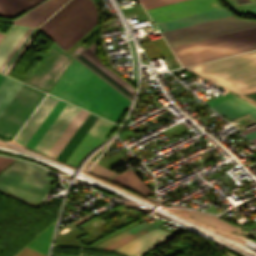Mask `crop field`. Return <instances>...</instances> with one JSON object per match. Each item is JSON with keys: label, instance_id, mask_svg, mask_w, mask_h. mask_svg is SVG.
Masks as SVG:
<instances>
[{"label": "crop field", "instance_id": "1", "mask_svg": "<svg viewBox=\"0 0 256 256\" xmlns=\"http://www.w3.org/2000/svg\"><path fill=\"white\" fill-rule=\"evenodd\" d=\"M170 47L250 27L256 22L235 19L224 8L157 23ZM256 48V27L190 43L172 50L182 63L190 65Z\"/></svg>", "mask_w": 256, "mask_h": 256}, {"label": "crop field", "instance_id": "2", "mask_svg": "<svg viewBox=\"0 0 256 256\" xmlns=\"http://www.w3.org/2000/svg\"><path fill=\"white\" fill-rule=\"evenodd\" d=\"M188 69L239 94L256 90V51L188 67Z\"/></svg>", "mask_w": 256, "mask_h": 256}, {"label": "crop field", "instance_id": "3", "mask_svg": "<svg viewBox=\"0 0 256 256\" xmlns=\"http://www.w3.org/2000/svg\"><path fill=\"white\" fill-rule=\"evenodd\" d=\"M97 10L91 0H79L45 31L65 51L96 25Z\"/></svg>", "mask_w": 256, "mask_h": 256}, {"label": "crop field", "instance_id": "4", "mask_svg": "<svg viewBox=\"0 0 256 256\" xmlns=\"http://www.w3.org/2000/svg\"><path fill=\"white\" fill-rule=\"evenodd\" d=\"M44 95L22 85L0 116V136L12 139Z\"/></svg>", "mask_w": 256, "mask_h": 256}, {"label": "crop field", "instance_id": "5", "mask_svg": "<svg viewBox=\"0 0 256 256\" xmlns=\"http://www.w3.org/2000/svg\"><path fill=\"white\" fill-rule=\"evenodd\" d=\"M57 47L52 44V46L25 80V83L44 92L49 90V88L72 59V57Z\"/></svg>", "mask_w": 256, "mask_h": 256}, {"label": "crop field", "instance_id": "6", "mask_svg": "<svg viewBox=\"0 0 256 256\" xmlns=\"http://www.w3.org/2000/svg\"><path fill=\"white\" fill-rule=\"evenodd\" d=\"M92 74L74 59L50 94L72 103Z\"/></svg>", "mask_w": 256, "mask_h": 256}, {"label": "crop field", "instance_id": "7", "mask_svg": "<svg viewBox=\"0 0 256 256\" xmlns=\"http://www.w3.org/2000/svg\"><path fill=\"white\" fill-rule=\"evenodd\" d=\"M220 7V4L216 0H185L148 9L147 12L154 23H157Z\"/></svg>", "mask_w": 256, "mask_h": 256}, {"label": "crop field", "instance_id": "8", "mask_svg": "<svg viewBox=\"0 0 256 256\" xmlns=\"http://www.w3.org/2000/svg\"><path fill=\"white\" fill-rule=\"evenodd\" d=\"M130 103V101L106 84L88 110L117 122Z\"/></svg>", "mask_w": 256, "mask_h": 256}, {"label": "crop field", "instance_id": "9", "mask_svg": "<svg viewBox=\"0 0 256 256\" xmlns=\"http://www.w3.org/2000/svg\"><path fill=\"white\" fill-rule=\"evenodd\" d=\"M207 103L228 119H235L247 112L256 117V106L228 92L224 96L221 95ZM245 137L249 140L256 138V131L245 135Z\"/></svg>", "mask_w": 256, "mask_h": 256}, {"label": "crop field", "instance_id": "10", "mask_svg": "<svg viewBox=\"0 0 256 256\" xmlns=\"http://www.w3.org/2000/svg\"><path fill=\"white\" fill-rule=\"evenodd\" d=\"M50 173V172H49ZM48 172L31 163L17 160L2 174L48 189L54 180L47 178Z\"/></svg>", "mask_w": 256, "mask_h": 256}, {"label": "crop field", "instance_id": "11", "mask_svg": "<svg viewBox=\"0 0 256 256\" xmlns=\"http://www.w3.org/2000/svg\"><path fill=\"white\" fill-rule=\"evenodd\" d=\"M173 235L156 228L114 250L130 256H141Z\"/></svg>", "mask_w": 256, "mask_h": 256}, {"label": "crop field", "instance_id": "12", "mask_svg": "<svg viewBox=\"0 0 256 256\" xmlns=\"http://www.w3.org/2000/svg\"><path fill=\"white\" fill-rule=\"evenodd\" d=\"M79 108H76L67 103L37 145L34 147V150L46 155L58 137L61 135L63 130L78 112Z\"/></svg>", "mask_w": 256, "mask_h": 256}, {"label": "crop field", "instance_id": "13", "mask_svg": "<svg viewBox=\"0 0 256 256\" xmlns=\"http://www.w3.org/2000/svg\"><path fill=\"white\" fill-rule=\"evenodd\" d=\"M85 58H87L90 62H92L94 65H96L99 69H101L103 72H105L108 76H110L112 79H114L117 83H119L121 86H123L126 90H128L130 93H134L135 88L132 87L130 84L125 82L123 79H121L118 75H116L112 70L107 68L105 65H103L100 60L97 58L94 52H92L90 49H86L84 52L80 53ZM78 55L76 58L80 60L82 63H84L86 66H88L90 69H92L94 72H96L99 76H101L103 79H105L107 82H109L111 85H113L115 88H117L121 93H123L127 98L130 100L132 99L133 95L130 94L128 91H126L123 87H121L119 84H117L114 80H112L110 77H108L105 73H103L101 70H99L96 66H94L92 63H90L87 59H85L83 56Z\"/></svg>", "mask_w": 256, "mask_h": 256}, {"label": "crop field", "instance_id": "14", "mask_svg": "<svg viewBox=\"0 0 256 256\" xmlns=\"http://www.w3.org/2000/svg\"><path fill=\"white\" fill-rule=\"evenodd\" d=\"M111 125L112 123L98 117V119L95 121L93 126L87 132V134L82 139L80 144L77 146V148L74 150L72 155L69 157V160L78 162L82 157L88 154L93 148L96 147V145L105 135V133L108 131ZM69 160H67L65 163L71 164V165L76 164V162H72Z\"/></svg>", "mask_w": 256, "mask_h": 256}, {"label": "crop field", "instance_id": "15", "mask_svg": "<svg viewBox=\"0 0 256 256\" xmlns=\"http://www.w3.org/2000/svg\"><path fill=\"white\" fill-rule=\"evenodd\" d=\"M57 101L58 99L50 95H47V97L38 107L36 112L27 122L25 127L23 126L24 128L22 129V131L19 133V135L16 137L15 140L18 143L25 145L26 142L29 140V138L32 136V134L35 132V130L38 128V126L41 124V122L45 119V117L48 115V113L57 103Z\"/></svg>", "mask_w": 256, "mask_h": 256}, {"label": "crop field", "instance_id": "16", "mask_svg": "<svg viewBox=\"0 0 256 256\" xmlns=\"http://www.w3.org/2000/svg\"><path fill=\"white\" fill-rule=\"evenodd\" d=\"M66 1L67 0H47L13 22L40 25Z\"/></svg>", "mask_w": 256, "mask_h": 256}, {"label": "crop field", "instance_id": "17", "mask_svg": "<svg viewBox=\"0 0 256 256\" xmlns=\"http://www.w3.org/2000/svg\"><path fill=\"white\" fill-rule=\"evenodd\" d=\"M104 83L101 79L93 74L87 84L84 86L82 91L73 101V104L78 105L87 109L99 91L104 87Z\"/></svg>", "mask_w": 256, "mask_h": 256}, {"label": "crop field", "instance_id": "18", "mask_svg": "<svg viewBox=\"0 0 256 256\" xmlns=\"http://www.w3.org/2000/svg\"><path fill=\"white\" fill-rule=\"evenodd\" d=\"M43 0H0V16L16 17Z\"/></svg>", "mask_w": 256, "mask_h": 256}, {"label": "crop field", "instance_id": "19", "mask_svg": "<svg viewBox=\"0 0 256 256\" xmlns=\"http://www.w3.org/2000/svg\"><path fill=\"white\" fill-rule=\"evenodd\" d=\"M87 115L88 112L82 109L77 113V115L68 125V127L65 129L62 135L47 153V156L55 159V157L58 155V153L61 151V149L64 147V145L67 143V141L70 139V137L73 135V133L76 131V129L79 127V125L82 123Z\"/></svg>", "mask_w": 256, "mask_h": 256}, {"label": "crop field", "instance_id": "20", "mask_svg": "<svg viewBox=\"0 0 256 256\" xmlns=\"http://www.w3.org/2000/svg\"><path fill=\"white\" fill-rule=\"evenodd\" d=\"M28 30V27L15 26L0 42V66Z\"/></svg>", "mask_w": 256, "mask_h": 256}, {"label": "crop field", "instance_id": "21", "mask_svg": "<svg viewBox=\"0 0 256 256\" xmlns=\"http://www.w3.org/2000/svg\"><path fill=\"white\" fill-rule=\"evenodd\" d=\"M110 179L123 183L145 195L153 193L131 169H128Z\"/></svg>", "mask_w": 256, "mask_h": 256}, {"label": "crop field", "instance_id": "22", "mask_svg": "<svg viewBox=\"0 0 256 256\" xmlns=\"http://www.w3.org/2000/svg\"><path fill=\"white\" fill-rule=\"evenodd\" d=\"M37 32L38 30L36 29H33V28L29 29V31L26 33L23 39L19 42V44L10 54V56L6 59V61L0 67L1 72L7 74L10 68L13 66V64L16 62V60L19 58V56L22 54V52L25 50V48L28 46V44L31 42L34 36L37 34Z\"/></svg>", "mask_w": 256, "mask_h": 256}, {"label": "crop field", "instance_id": "23", "mask_svg": "<svg viewBox=\"0 0 256 256\" xmlns=\"http://www.w3.org/2000/svg\"><path fill=\"white\" fill-rule=\"evenodd\" d=\"M65 105L66 102H63L61 100L58 101V103L55 105V107L52 109V111L49 113V115L39 126V128L36 130V132L33 134V136L30 138L25 146L33 149V147L36 145V143L39 141V139L42 137V135L45 133V131L48 129V127L51 125V123L54 121V119L57 117V115L60 113Z\"/></svg>", "mask_w": 256, "mask_h": 256}, {"label": "crop field", "instance_id": "24", "mask_svg": "<svg viewBox=\"0 0 256 256\" xmlns=\"http://www.w3.org/2000/svg\"><path fill=\"white\" fill-rule=\"evenodd\" d=\"M0 192L12 196L28 205L35 207L43 197L23 191L21 189L0 183Z\"/></svg>", "mask_w": 256, "mask_h": 256}, {"label": "crop field", "instance_id": "25", "mask_svg": "<svg viewBox=\"0 0 256 256\" xmlns=\"http://www.w3.org/2000/svg\"><path fill=\"white\" fill-rule=\"evenodd\" d=\"M141 46L148 58V60L160 57L172 56L171 51L164 42L163 38L141 43Z\"/></svg>", "mask_w": 256, "mask_h": 256}, {"label": "crop field", "instance_id": "26", "mask_svg": "<svg viewBox=\"0 0 256 256\" xmlns=\"http://www.w3.org/2000/svg\"><path fill=\"white\" fill-rule=\"evenodd\" d=\"M21 85L22 83L7 77V79L0 87V113L9 103Z\"/></svg>", "mask_w": 256, "mask_h": 256}, {"label": "crop field", "instance_id": "27", "mask_svg": "<svg viewBox=\"0 0 256 256\" xmlns=\"http://www.w3.org/2000/svg\"><path fill=\"white\" fill-rule=\"evenodd\" d=\"M54 224L47 229L43 234H41L37 239H35L31 244L28 245V247L37 250L43 254H47V250L49 247L52 230H53Z\"/></svg>", "mask_w": 256, "mask_h": 256}, {"label": "crop field", "instance_id": "28", "mask_svg": "<svg viewBox=\"0 0 256 256\" xmlns=\"http://www.w3.org/2000/svg\"><path fill=\"white\" fill-rule=\"evenodd\" d=\"M145 226H147V224L142 222L139 225H137V226H135V227H133V228H131V229H129V230H127V231L117 235V236H115L114 238H112V239H110V240H108V241H106V242H104V243H102V244H100V245H98V246H96L94 248L101 249V248H103V247H105V246H107V245H109V244H111V243H113V242H115V241H117V240H119V239H121V238H123V237H125V236H127V235H129V234H131V233H133V232L143 228V227H145Z\"/></svg>", "mask_w": 256, "mask_h": 256}, {"label": "crop field", "instance_id": "29", "mask_svg": "<svg viewBox=\"0 0 256 256\" xmlns=\"http://www.w3.org/2000/svg\"><path fill=\"white\" fill-rule=\"evenodd\" d=\"M77 1L78 0H71L69 3H67L62 9H60L54 16H52L46 23H44L41 26V30L43 31L45 28H47L52 22H54L59 16H61L67 9H69Z\"/></svg>", "mask_w": 256, "mask_h": 256}, {"label": "crop field", "instance_id": "30", "mask_svg": "<svg viewBox=\"0 0 256 256\" xmlns=\"http://www.w3.org/2000/svg\"><path fill=\"white\" fill-rule=\"evenodd\" d=\"M145 9L164 5V4H169L181 0H140Z\"/></svg>", "mask_w": 256, "mask_h": 256}, {"label": "crop field", "instance_id": "31", "mask_svg": "<svg viewBox=\"0 0 256 256\" xmlns=\"http://www.w3.org/2000/svg\"><path fill=\"white\" fill-rule=\"evenodd\" d=\"M89 171L93 172V173H96V174H99L101 176H104L106 178H109L113 175H115L116 173L96 164L94 167H92Z\"/></svg>", "mask_w": 256, "mask_h": 256}, {"label": "crop field", "instance_id": "32", "mask_svg": "<svg viewBox=\"0 0 256 256\" xmlns=\"http://www.w3.org/2000/svg\"><path fill=\"white\" fill-rule=\"evenodd\" d=\"M16 256H45L39 252H36L28 247H26L24 250H22L18 255Z\"/></svg>", "mask_w": 256, "mask_h": 256}, {"label": "crop field", "instance_id": "33", "mask_svg": "<svg viewBox=\"0 0 256 256\" xmlns=\"http://www.w3.org/2000/svg\"><path fill=\"white\" fill-rule=\"evenodd\" d=\"M12 161H14L13 159H8V158H3L0 157V171L5 168L8 164H10Z\"/></svg>", "mask_w": 256, "mask_h": 256}, {"label": "crop field", "instance_id": "34", "mask_svg": "<svg viewBox=\"0 0 256 256\" xmlns=\"http://www.w3.org/2000/svg\"><path fill=\"white\" fill-rule=\"evenodd\" d=\"M6 76L0 74V85L2 84V82L5 80Z\"/></svg>", "mask_w": 256, "mask_h": 256}, {"label": "crop field", "instance_id": "35", "mask_svg": "<svg viewBox=\"0 0 256 256\" xmlns=\"http://www.w3.org/2000/svg\"><path fill=\"white\" fill-rule=\"evenodd\" d=\"M238 3L251 2L250 0H237Z\"/></svg>", "mask_w": 256, "mask_h": 256}, {"label": "crop field", "instance_id": "36", "mask_svg": "<svg viewBox=\"0 0 256 256\" xmlns=\"http://www.w3.org/2000/svg\"><path fill=\"white\" fill-rule=\"evenodd\" d=\"M4 34L0 33V40L3 38Z\"/></svg>", "mask_w": 256, "mask_h": 256}]
</instances>
